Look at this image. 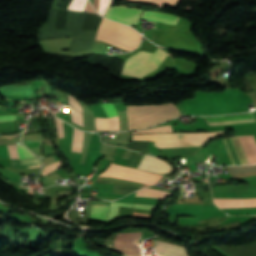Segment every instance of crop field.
I'll list each match as a JSON object with an SVG mask.
<instances>
[{
  "instance_id": "crop-field-39",
  "label": "crop field",
  "mask_w": 256,
  "mask_h": 256,
  "mask_svg": "<svg viewBox=\"0 0 256 256\" xmlns=\"http://www.w3.org/2000/svg\"><path fill=\"white\" fill-rule=\"evenodd\" d=\"M125 1H131V2H137V3H139L140 0H125Z\"/></svg>"
},
{
  "instance_id": "crop-field-25",
  "label": "crop field",
  "mask_w": 256,
  "mask_h": 256,
  "mask_svg": "<svg viewBox=\"0 0 256 256\" xmlns=\"http://www.w3.org/2000/svg\"><path fill=\"white\" fill-rule=\"evenodd\" d=\"M87 3V0H73L69 9L75 11H84V7Z\"/></svg>"
},
{
  "instance_id": "crop-field-9",
  "label": "crop field",
  "mask_w": 256,
  "mask_h": 256,
  "mask_svg": "<svg viewBox=\"0 0 256 256\" xmlns=\"http://www.w3.org/2000/svg\"><path fill=\"white\" fill-rule=\"evenodd\" d=\"M141 232L138 233H122L117 234L114 246L123 253L132 254L134 256L141 255L139 244H134L136 239H140Z\"/></svg>"
},
{
  "instance_id": "crop-field-6",
  "label": "crop field",
  "mask_w": 256,
  "mask_h": 256,
  "mask_svg": "<svg viewBox=\"0 0 256 256\" xmlns=\"http://www.w3.org/2000/svg\"><path fill=\"white\" fill-rule=\"evenodd\" d=\"M155 141L158 143L154 145L159 148L201 146V133L155 134Z\"/></svg>"
},
{
  "instance_id": "crop-field-37",
  "label": "crop field",
  "mask_w": 256,
  "mask_h": 256,
  "mask_svg": "<svg viewBox=\"0 0 256 256\" xmlns=\"http://www.w3.org/2000/svg\"><path fill=\"white\" fill-rule=\"evenodd\" d=\"M62 0H54L52 3V7L53 6H58L61 3Z\"/></svg>"
},
{
  "instance_id": "crop-field-36",
  "label": "crop field",
  "mask_w": 256,
  "mask_h": 256,
  "mask_svg": "<svg viewBox=\"0 0 256 256\" xmlns=\"http://www.w3.org/2000/svg\"><path fill=\"white\" fill-rule=\"evenodd\" d=\"M86 12H91V13H96L94 10H93V8H92V6H91V4L88 2V5H87V7H86Z\"/></svg>"
},
{
  "instance_id": "crop-field-3",
  "label": "crop field",
  "mask_w": 256,
  "mask_h": 256,
  "mask_svg": "<svg viewBox=\"0 0 256 256\" xmlns=\"http://www.w3.org/2000/svg\"><path fill=\"white\" fill-rule=\"evenodd\" d=\"M167 55L159 48L154 54L140 51L127 59L122 74L142 78L157 69Z\"/></svg>"
},
{
  "instance_id": "crop-field-35",
  "label": "crop field",
  "mask_w": 256,
  "mask_h": 256,
  "mask_svg": "<svg viewBox=\"0 0 256 256\" xmlns=\"http://www.w3.org/2000/svg\"><path fill=\"white\" fill-rule=\"evenodd\" d=\"M7 120H16L15 115L0 116V122Z\"/></svg>"
},
{
  "instance_id": "crop-field-32",
  "label": "crop field",
  "mask_w": 256,
  "mask_h": 256,
  "mask_svg": "<svg viewBox=\"0 0 256 256\" xmlns=\"http://www.w3.org/2000/svg\"><path fill=\"white\" fill-rule=\"evenodd\" d=\"M67 97H68L69 104L75 107L79 112H82L78 101L74 99L72 96H70L69 94H67Z\"/></svg>"
},
{
  "instance_id": "crop-field-1",
  "label": "crop field",
  "mask_w": 256,
  "mask_h": 256,
  "mask_svg": "<svg viewBox=\"0 0 256 256\" xmlns=\"http://www.w3.org/2000/svg\"><path fill=\"white\" fill-rule=\"evenodd\" d=\"M129 129H141L179 115L178 109L172 104L157 106H126Z\"/></svg>"
},
{
  "instance_id": "crop-field-10",
  "label": "crop field",
  "mask_w": 256,
  "mask_h": 256,
  "mask_svg": "<svg viewBox=\"0 0 256 256\" xmlns=\"http://www.w3.org/2000/svg\"><path fill=\"white\" fill-rule=\"evenodd\" d=\"M140 11L139 9L124 6H115L113 8L110 7L105 16L132 25L138 22Z\"/></svg>"
},
{
  "instance_id": "crop-field-23",
  "label": "crop field",
  "mask_w": 256,
  "mask_h": 256,
  "mask_svg": "<svg viewBox=\"0 0 256 256\" xmlns=\"http://www.w3.org/2000/svg\"><path fill=\"white\" fill-rule=\"evenodd\" d=\"M118 206H129L132 207V203H116L112 202L110 206V213L108 216V220L117 219L118 216Z\"/></svg>"
},
{
  "instance_id": "crop-field-14",
  "label": "crop field",
  "mask_w": 256,
  "mask_h": 256,
  "mask_svg": "<svg viewBox=\"0 0 256 256\" xmlns=\"http://www.w3.org/2000/svg\"><path fill=\"white\" fill-rule=\"evenodd\" d=\"M232 256H256V243L243 246H216Z\"/></svg>"
},
{
  "instance_id": "crop-field-8",
  "label": "crop field",
  "mask_w": 256,
  "mask_h": 256,
  "mask_svg": "<svg viewBox=\"0 0 256 256\" xmlns=\"http://www.w3.org/2000/svg\"><path fill=\"white\" fill-rule=\"evenodd\" d=\"M146 156L147 155L134 152L133 156L131 157L128 163V166H132L140 169ZM141 169L153 171L157 173H166V172L172 171L170 165L167 162L151 157L149 155L147 156Z\"/></svg>"
},
{
  "instance_id": "crop-field-18",
  "label": "crop field",
  "mask_w": 256,
  "mask_h": 256,
  "mask_svg": "<svg viewBox=\"0 0 256 256\" xmlns=\"http://www.w3.org/2000/svg\"><path fill=\"white\" fill-rule=\"evenodd\" d=\"M170 192L160 191L152 188L142 189L136 192V196L141 197H155V198H164L169 195Z\"/></svg>"
},
{
  "instance_id": "crop-field-20",
  "label": "crop field",
  "mask_w": 256,
  "mask_h": 256,
  "mask_svg": "<svg viewBox=\"0 0 256 256\" xmlns=\"http://www.w3.org/2000/svg\"><path fill=\"white\" fill-rule=\"evenodd\" d=\"M11 160H12V167L14 168L27 169L29 168V166L40 165L39 163L40 161L37 158L22 159V160L11 159ZM35 167H39V166H35ZM30 168H34V167H30Z\"/></svg>"
},
{
  "instance_id": "crop-field-16",
  "label": "crop field",
  "mask_w": 256,
  "mask_h": 256,
  "mask_svg": "<svg viewBox=\"0 0 256 256\" xmlns=\"http://www.w3.org/2000/svg\"><path fill=\"white\" fill-rule=\"evenodd\" d=\"M101 105H102L107 117L117 116L116 109H115L113 103H104ZM95 124H96L97 129H107L108 130V119L107 118L96 117Z\"/></svg>"
},
{
  "instance_id": "crop-field-33",
  "label": "crop field",
  "mask_w": 256,
  "mask_h": 256,
  "mask_svg": "<svg viewBox=\"0 0 256 256\" xmlns=\"http://www.w3.org/2000/svg\"><path fill=\"white\" fill-rule=\"evenodd\" d=\"M134 208L155 210L157 206L146 204H134Z\"/></svg>"
},
{
  "instance_id": "crop-field-31",
  "label": "crop field",
  "mask_w": 256,
  "mask_h": 256,
  "mask_svg": "<svg viewBox=\"0 0 256 256\" xmlns=\"http://www.w3.org/2000/svg\"><path fill=\"white\" fill-rule=\"evenodd\" d=\"M55 123H56L59 138L64 137L63 122L60 121L59 119L55 118Z\"/></svg>"
},
{
  "instance_id": "crop-field-21",
  "label": "crop field",
  "mask_w": 256,
  "mask_h": 256,
  "mask_svg": "<svg viewBox=\"0 0 256 256\" xmlns=\"http://www.w3.org/2000/svg\"><path fill=\"white\" fill-rule=\"evenodd\" d=\"M84 132L74 129V138L71 151L82 152Z\"/></svg>"
},
{
  "instance_id": "crop-field-2",
  "label": "crop field",
  "mask_w": 256,
  "mask_h": 256,
  "mask_svg": "<svg viewBox=\"0 0 256 256\" xmlns=\"http://www.w3.org/2000/svg\"><path fill=\"white\" fill-rule=\"evenodd\" d=\"M96 38L122 49L131 50L139 45L141 35L125 25L103 18Z\"/></svg>"
},
{
  "instance_id": "crop-field-17",
  "label": "crop field",
  "mask_w": 256,
  "mask_h": 256,
  "mask_svg": "<svg viewBox=\"0 0 256 256\" xmlns=\"http://www.w3.org/2000/svg\"><path fill=\"white\" fill-rule=\"evenodd\" d=\"M8 150L10 153L11 158L22 159V158H29V157H35L32 153H30L23 145H17L18 148V156H17V148L16 145H7Z\"/></svg>"
},
{
  "instance_id": "crop-field-4",
  "label": "crop field",
  "mask_w": 256,
  "mask_h": 256,
  "mask_svg": "<svg viewBox=\"0 0 256 256\" xmlns=\"http://www.w3.org/2000/svg\"><path fill=\"white\" fill-rule=\"evenodd\" d=\"M250 164L256 163V142L253 136L239 137ZM238 137L223 138L232 165L249 164Z\"/></svg>"
},
{
  "instance_id": "crop-field-22",
  "label": "crop field",
  "mask_w": 256,
  "mask_h": 256,
  "mask_svg": "<svg viewBox=\"0 0 256 256\" xmlns=\"http://www.w3.org/2000/svg\"><path fill=\"white\" fill-rule=\"evenodd\" d=\"M111 0H93V6L99 14L105 15Z\"/></svg>"
},
{
  "instance_id": "crop-field-34",
  "label": "crop field",
  "mask_w": 256,
  "mask_h": 256,
  "mask_svg": "<svg viewBox=\"0 0 256 256\" xmlns=\"http://www.w3.org/2000/svg\"><path fill=\"white\" fill-rule=\"evenodd\" d=\"M247 79L250 81V83L253 85V87L256 90V73L247 75Z\"/></svg>"
},
{
  "instance_id": "crop-field-28",
  "label": "crop field",
  "mask_w": 256,
  "mask_h": 256,
  "mask_svg": "<svg viewBox=\"0 0 256 256\" xmlns=\"http://www.w3.org/2000/svg\"><path fill=\"white\" fill-rule=\"evenodd\" d=\"M137 190L136 188H129V187H123V186H119V185H115L114 189L112 192L115 193H120V194H129L133 191Z\"/></svg>"
},
{
  "instance_id": "crop-field-29",
  "label": "crop field",
  "mask_w": 256,
  "mask_h": 256,
  "mask_svg": "<svg viewBox=\"0 0 256 256\" xmlns=\"http://www.w3.org/2000/svg\"><path fill=\"white\" fill-rule=\"evenodd\" d=\"M179 1L180 0H154L152 4L162 7L164 6V4L177 6Z\"/></svg>"
},
{
  "instance_id": "crop-field-11",
  "label": "crop field",
  "mask_w": 256,
  "mask_h": 256,
  "mask_svg": "<svg viewBox=\"0 0 256 256\" xmlns=\"http://www.w3.org/2000/svg\"><path fill=\"white\" fill-rule=\"evenodd\" d=\"M204 118L207 120L209 126L255 121L252 113Z\"/></svg>"
},
{
  "instance_id": "crop-field-24",
  "label": "crop field",
  "mask_w": 256,
  "mask_h": 256,
  "mask_svg": "<svg viewBox=\"0 0 256 256\" xmlns=\"http://www.w3.org/2000/svg\"><path fill=\"white\" fill-rule=\"evenodd\" d=\"M131 148L150 154L149 153V142H146V141H132Z\"/></svg>"
},
{
  "instance_id": "crop-field-13",
  "label": "crop field",
  "mask_w": 256,
  "mask_h": 256,
  "mask_svg": "<svg viewBox=\"0 0 256 256\" xmlns=\"http://www.w3.org/2000/svg\"><path fill=\"white\" fill-rule=\"evenodd\" d=\"M214 203L220 208H240L255 207L256 198L254 199H213Z\"/></svg>"
},
{
  "instance_id": "crop-field-7",
  "label": "crop field",
  "mask_w": 256,
  "mask_h": 256,
  "mask_svg": "<svg viewBox=\"0 0 256 256\" xmlns=\"http://www.w3.org/2000/svg\"><path fill=\"white\" fill-rule=\"evenodd\" d=\"M103 174L114 175V176L146 181L151 183H154L157 180H159L161 177H163V175L148 173V172L128 168V167L113 164V163L110 165V167L107 170L103 172Z\"/></svg>"
},
{
  "instance_id": "crop-field-38",
  "label": "crop field",
  "mask_w": 256,
  "mask_h": 256,
  "mask_svg": "<svg viewBox=\"0 0 256 256\" xmlns=\"http://www.w3.org/2000/svg\"><path fill=\"white\" fill-rule=\"evenodd\" d=\"M141 2L151 4V3H152V0H141Z\"/></svg>"
},
{
  "instance_id": "crop-field-12",
  "label": "crop field",
  "mask_w": 256,
  "mask_h": 256,
  "mask_svg": "<svg viewBox=\"0 0 256 256\" xmlns=\"http://www.w3.org/2000/svg\"><path fill=\"white\" fill-rule=\"evenodd\" d=\"M157 252L162 256H188L184 247L155 240Z\"/></svg>"
},
{
  "instance_id": "crop-field-27",
  "label": "crop field",
  "mask_w": 256,
  "mask_h": 256,
  "mask_svg": "<svg viewBox=\"0 0 256 256\" xmlns=\"http://www.w3.org/2000/svg\"><path fill=\"white\" fill-rule=\"evenodd\" d=\"M70 111H71L73 122H75L76 124H78L81 127H83V117H82V114L78 113L76 110L72 109L71 107H70Z\"/></svg>"
},
{
  "instance_id": "crop-field-30",
  "label": "crop field",
  "mask_w": 256,
  "mask_h": 256,
  "mask_svg": "<svg viewBox=\"0 0 256 256\" xmlns=\"http://www.w3.org/2000/svg\"><path fill=\"white\" fill-rule=\"evenodd\" d=\"M61 165L60 161H56L46 167H44L43 171H42V174L43 175H47L51 172H53L57 167H59Z\"/></svg>"
},
{
  "instance_id": "crop-field-26",
  "label": "crop field",
  "mask_w": 256,
  "mask_h": 256,
  "mask_svg": "<svg viewBox=\"0 0 256 256\" xmlns=\"http://www.w3.org/2000/svg\"><path fill=\"white\" fill-rule=\"evenodd\" d=\"M166 131H172L170 125L159 126V127H155L147 130L135 131L133 133H151V132H166Z\"/></svg>"
},
{
  "instance_id": "crop-field-40",
  "label": "crop field",
  "mask_w": 256,
  "mask_h": 256,
  "mask_svg": "<svg viewBox=\"0 0 256 256\" xmlns=\"http://www.w3.org/2000/svg\"><path fill=\"white\" fill-rule=\"evenodd\" d=\"M19 188H24V187H19Z\"/></svg>"
},
{
  "instance_id": "crop-field-41",
  "label": "crop field",
  "mask_w": 256,
  "mask_h": 256,
  "mask_svg": "<svg viewBox=\"0 0 256 256\" xmlns=\"http://www.w3.org/2000/svg\"><path fill=\"white\" fill-rule=\"evenodd\" d=\"M123 256H126V255H123Z\"/></svg>"
},
{
  "instance_id": "crop-field-5",
  "label": "crop field",
  "mask_w": 256,
  "mask_h": 256,
  "mask_svg": "<svg viewBox=\"0 0 256 256\" xmlns=\"http://www.w3.org/2000/svg\"><path fill=\"white\" fill-rule=\"evenodd\" d=\"M57 9H51L47 21L39 27L38 39L74 36L81 29L86 13L69 11L66 20V30H54V20Z\"/></svg>"
},
{
  "instance_id": "crop-field-15",
  "label": "crop field",
  "mask_w": 256,
  "mask_h": 256,
  "mask_svg": "<svg viewBox=\"0 0 256 256\" xmlns=\"http://www.w3.org/2000/svg\"><path fill=\"white\" fill-rule=\"evenodd\" d=\"M143 18L147 20H155L160 23H172L176 24L179 17L170 14L158 13L154 11H146L142 15Z\"/></svg>"
},
{
  "instance_id": "crop-field-19",
  "label": "crop field",
  "mask_w": 256,
  "mask_h": 256,
  "mask_svg": "<svg viewBox=\"0 0 256 256\" xmlns=\"http://www.w3.org/2000/svg\"><path fill=\"white\" fill-rule=\"evenodd\" d=\"M108 209L109 207L92 206L90 219L96 221H106Z\"/></svg>"
}]
</instances>
